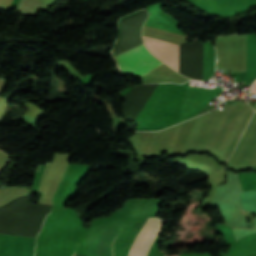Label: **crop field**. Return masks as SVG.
I'll return each mask as SVG.
<instances>
[{
	"label": "crop field",
	"instance_id": "crop-field-6",
	"mask_svg": "<svg viewBox=\"0 0 256 256\" xmlns=\"http://www.w3.org/2000/svg\"><path fill=\"white\" fill-rule=\"evenodd\" d=\"M176 256H179V255H176Z\"/></svg>",
	"mask_w": 256,
	"mask_h": 256
},
{
	"label": "crop field",
	"instance_id": "crop-field-3",
	"mask_svg": "<svg viewBox=\"0 0 256 256\" xmlns=\"http://www.w3.org/2000/svg\"><path fill=\"white\" fill-rule=\"evenodd\" d=\"M143 41L152 54L178 71L179 45L145 36Z\"/></svg>",
	"mask_w": 256,
	"mask_h": 256
},
{
	"label": "crop field",
	"instance_id": "crop-field-4",
	"mask_svg": "<svg viewBox=\"0 0 256 256\" xmlns=\"http://www.w3.org/2000/svg\"><path fill=\"white\" fill-rule=\"evenodd\" d=\"M18 1L19 0H13V2H12V4H11V6H10V8H9V10H11V9H16V6H17V3H18Z\"/></svg>",
	"mask_w": 256,
	"mask_h": 256
},
{
	"label": "crop field",
	"instance_id": "crop-field-1",
	"mask_svg": "<svg viewBox=\"0 0 256 256\" xmlns=\"http://www.w3.org/2000/svg\"><path fill=\"white\" fill-rule=\"evenodd\" d=\"M122 73L142 76L163 64L152 56L144 45H140L113 58Z\"/></svg>",
	"mask_w": 256,
	"mask_h": 256
},
{
	"label": "crop field",
	"instance_id": "crop-field-2",
	"mask_svg": "<svg viewBox=\"0 0 256 256\" xmlns=\"http://www.w3.org/2000/svg\"><path fill=\"white\" fill-rule=\"evenodd\" d=\"M165 220L148 217L137 234L128 256H146L149 246Z\"/></svg>",
	"mask_w": 256,
	"mask_h": 256
},
{
	"label": "crop field",
	"instance_id": "crop-field-5",
	"mask_svg": "<svg viewBox=\"0 0 256 256\" xmlns=\"http://www.w3.org/2000/svg\"><path fill=\"white\" fill-rule=\"evenodd\" d=\"M252 93H256V82H254L253 86H252Z\"/></svg>",
	"mask_w": 256,
	"mask_h": 256
}]
</instances>
